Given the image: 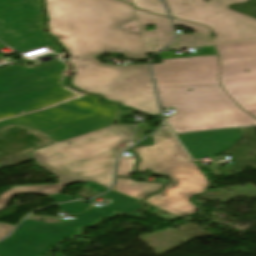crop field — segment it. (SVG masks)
<instances>
[{
  "instance_id": "crop-field-3",
  "label": "crop field",
  "mask_w": 256,
  "mask_h": 256,
  "mask_svg": "<svg viewBox=\"0 0 256 256\" xmlns=\"http://www.w3.org/2000/svg\"><path fill=\"white\" fill-rule=\"evenodd\" d=\"M51 34L73 59L119 50L128 58L145 56L140 32L113 28L90 4L77 0H45Z\"/></svg>"
},
{
  "instance_id": "crop-field-21",
  "label": "crop field",
  "mask_w": 256,
  "mask_h": 256,
  "mask_svg": "<svg viewBox=\"0 0 256 256\" xmlns=\"http://www.w3.org/2000/svg\"><path fill=\"white\" fill-rule=\"evenodd\" d=\"M48 198H50V199H52V200H54V201H56L58 203L64 202V201H68V200H73V198H71L70 196L63 195L62 193L50 196Z\"/></svg>"
},
{
  "instance_id": "crop-field-5",
  "label": "crop field",
  "mask_w": 256,
  "mask_h": 256,
  "mask_svg": "<svg viewBox=\"0 0 256 256\" xmlns=\"http://www.w3.org/2000/svg\"><path fill=\"white\" fill-rule=\"evenodd\" d=\"M162 107H174L166 118L175 133L256 124L221 89L218 82L157 86ZM188 89H193L188 92Z\"/></svg>"
},
{
  "instance_id": "crop-field-24",
  "label": "crop field",
  "mask_w": 256,
  "mask_h": 256,
  "mask_svg": "<svg viewBox=\"0 0 256 256\" xmlns=\"http://www.w3.org/2000/svg\"><path fill=\"white\" fill-rule=\"evenodd\" d=\"M73 204H76V205H79V206H82V207H85V208L90 207L89 205L84 204V203H80V202H73Z\"/></svg>"
},
{
  "instance_id": "crop-field-2",
  "label": "crop field",
  "mask_w": 256,
  "mask_h": 256,
  "mask_svg": "<svg viewBox=\"0 0 256 256\" xmlns=\"http://www.w3.org/2000/svg\"><path fill=\"white\" fill-rule=\"evenodd\" d=\"M136 125H114L78 138L32 151L38 164L60 178L58 184L14 187L0 196V210L17 194L58 193L63 186L92 181L107 188L113 182L117 155L130 145ZM68 142L72 144L67 145Z\"/></svg>"
},
{
  "instance_id": "crop-field-18",
  "label": "crop field",
  "mask_w": 256,
  "mask_h": 256,
  "mask_svg": "<svg viewBox=\"0 0 256 256\" xmlns=\"http://www.w3.org/2000/svg\"><path fill=\"white\" fill-rule=\"evenodd\" d=\"M135 163V156L120 157L118 162V175L129 178V173L133 172V165Z\"/></svg>"
},
{
  "instance_id": "crop-field-26",
  "label": "crop field",
  "mask_w": 256,
  "mask_h": 256,
  "mask_svg": "<svg viewBox=\"0 0 256 256\" xmlns=\"http://www.w3.org/2000/svg\"><path fill=\"white\" fill-rule=\"evenodd\" d=\"M123 1L129 2V3H132V2H131V0H123Z\"/></svg>"
},
{
  "instance_id": "crop-field-4",
  "label": "crop field",
  "mask_w": 256,
  "mask_h": 256,
  "mask_svg": "<svg viewBox=\"0 0 256 256\" xmlns=\"http://www.w3.org/2000/svg\"><path fill=\"white\" fill-rule=\"evenodd\" d=\"M151 136L154 139L153 146L132 150L140 157L137 170L150 169L152 173L168 175L172 181L163 192L144 201L180 216L196 212L197 206L189 199L202 193L209 186V181L165 124Z\"/></svg>"
},
{
  "instance_id": "crop-field-16",
  "label": "crop field",
  "mask_w": 256,
  "mask_h": 256,
  "mask_svg": "<svg viewBox=\"0 0 256 256\" xmlns=\"http://www.w3.org/2000/svg\"><path fill=\"white\" fill-rule=\"evenodd\" d=\"M163 185L164 184L134 182L133 180L117 178V184L113 191L142 200L144 195L160 190Z\"/></svg>"
},
{
  "instance_id": "crop-field-15",
  "label": "crop field",
  "mask_w": 256,
  "mask_h": 256,
  "mask_svg": "<svg viewBox=\"0 0 256 256\" xmlns=\"http://www.w3.org/2000/svg\"><path fill=\"white\" fill-rule=\"evenodd\" d=\"M173 21L176 25L194 29L195 34L177 35V39L175 43L165 50L193 47V46H199V45H205V44L211 43L209 28L202 25H198V24H194V23H190V22H186V21H182L174 18H173Z\"/></svg>"
},
{
  "instance_id": "crop-field-25",
  "label": "crop field",
  "mask_w": 256,
  "mask_h": 256,
  "mask_svg": "<svg viewBox=\"0 0 256 256\" xmlns=\"http://www.w3.org/2000/svg\"><path fill=\"white\" fill-rule=\"evenodd\" d=\"M3 47H5V45L0 43V49L3 48Z\"/></svg>"
},
{
  "instance_id": "crop-field-7",
  "label": "crop field",
  "mask_w": 256,
  "mask_h": 256,
  "mask_svg": "<svg viewBox=\"0 0 256 256\" xmlns=\"http://www.w3.org/2000/svg\"><path fill=\"white\" fill-rule=\"evenodd\" d=\"M107 195L113 199L111 204L103 208L93 206L73 221L46 224L25 220L12 236L0 242V256H43L57 241L76 234L78 227L92 224L115 208L132 212L141 207L134 203L136 199L122 194L111 191Z\"/></svg>"
},
{
  "instance_id": "crop-field-20",
  "label": "crop field",
  "mask_w": 256,
  "mask_h": 256,
  "mask_svg": "<svg viewBox=\"0 0 256 256\" xmlns=\"http://www.w3.org/2000/svg\"><path fill=\"white\" fill-rule=\"evenodd\" d=\"M15 226L0 223V238L6 236Z\"/></svg>"
},
{
  "instance_id": "crop-field-22",
  "label": "crop field",
  "mask_w": 256,
  "mask_h": 256,
  "mask_svg": "<svg viewBox=\"0 0 256 256\" xmlns=\"http://www.w3.org/2000/svg\"><path fill=\"white\" fill-rule=\"evenodd\" d=\"M57 106H61V107L67 108V109H71V110H74V111L87 113V114H90L92 112V111H87V110H80V109H77L76 107L65 106V105H61V104H57Z\"/></svg>"
},
{
  "instance_id": "crop-field-8",
  "label": "crop field",
  "mask_w": 256,
  "mask_h": 256,
  "mask_svg": "<svg viewBox=\"0 0 256 256\" xmlns=\"http://www.w3.org/2000/svg\"><path fill=\"white\" fill-rule=\"evenodd\" d=\"M174 18L213 29L214 43L256 37V20L233 11L228 5L247 0H165ZM185 3L188 6L183 7Z\"/></svg>"
},
{
  "instance_id": "crop-field-14",
  "label": "crop field",
  "mask_w": 256,
  "mask_h": 256,
  "mask_svg": "<svg viewBox=\"0 0 256 256\" xmlns=\"http://www.w3.org/2000/svg\"><path fill=\"white\" fill-rule=\"evenodd\" d=\"M95 6L112 26L128 23L135 19L132 5L118 0H81Z\"/></svg>"
},
{
  "instance_id": "crop-field-17",
  "label": "crop field",
  "mask_w": 256,
  "mask_h": 256,
  "mask_svg": "<svg viewBox=\"0 0 256 256\" xmlns=\"http://www.w3.org/2000/svg\"><path fill=\"white\" fill-rule=\"evenodd\" d=\"M154 1H157V3H154ZM132 2L135 7L148 10L157 15L167 16V12L165 13L166 10L164 11L165 8L163 9L160 0H132Z\"/></svg>"
},
{
  "instance_id": "crop-field-19",
  "label": "crop field",
  "mask_w": 256,
  "mask_h": 256,
  "mask_svg": "<svg viewBox=\"0 0 256 256\" xmlns=\"http://www.w3.org/2000/svg\"><path fill=\"white\" fill-rule=\"evenodd\" d=\"M61 210L70 213V214H77L83 210H86L85 208L70 204V203H65L63 205L58 206Z\"/></svg>"
},
{
  "instance_id": "crop-field-13",
  "label": "crop field",
  "mask_w": 256,
  "mask_h": 256,
  "mask_svg": "<svg viewBox=\"0 0 256 256\" xmlns=\"http://www.w3.org/2000/svg\"><path fill=\"white\" fill-rule=\"evenodd\" d=\"M146 53H155L172 40L168 18L135 9ZM155 24V31H146L144 25Z\"/></svg>"
},
{
  "instance_id": "crop-field-12",
  "label": "crop field",
  "mask_w": 256,
  "mask_h": 256,
  "mask_svg": "<svg viewBox=\"0 0 256 256\" xmlns=\"http://www.w3.org/2000/svg\"><path fill=\"white\" fill-rule=\"evenodd\" d=\"M193 158L220 155L242 136L238 129L177 135ZM189 153V154H190Z\"/></svg>"
},
{
  "instance_id": "crop-field-1",
  "label": "crop field",
  "mask_w": 256,
  "mask_h": 256,
  "mask_svg": "<svg viewBox=\"0 0 256 256\" xmlns=\"http://www.w3.org/2000/svg\"><path fill=\"white\" fill-rule=\"evenodd\" d=\"M61 61L33 69L15 65L0 70V128L21 124L39 129L55 141L78 137L115 122V104H98V96L80 95L59 84ZM57 103L92 110L90 115L70 111Z\"/></svg>"
},
{
  "instance_id": "crop-field-23",
  "label": "crop field",
  "mask_w": 256,
  "mask_h": 256,
  "mask_svg": "<svg viewBox=\"0 0 256 256\" xmlns=\"http://www.w3.org/2000/svg\"><path fill=\"white\" fill-rule=\"evenodd\" d=\"M86 186H88V187H90V188H93V189H96V190L101 191V192H104V191L107 190V188L102 187V186H100V185H97V184H95V183H91V184L86 185Z\"/></svg>"
},
{
  "instance_id": "crop-field-6",
  "label": "crop field",
  "mask_w": 256,
  "mask_h": 256,
  "mask_svg": "<svg viewBox=\"0 0 256 256\" xmlns=\"http://www.w3.org/2000/svg\"><path fill=\"white\" fill-rule=\"evenodd\" d=\"M72 84L85 92L101 94L106 100L157 115L159 113L147 64L119 66L101 64L96 58L73 61Z\"/></svg>"
},
{
  "instance_id": "crop-field-10",
  "label": "crop field",
  "mask_w": 256,
  "mask_h": 256,
  "mask_svg": "<svg viewBox=\"0 0 256 256\" xmlns=\"http://www.w3.org/2000/svg\"><path fill=\"white\" fill-rule=\"evenodd\" d=\"M40 0H0V40L19 52L48 45L62 49L42 30Z\"/></svg>"
},
{
  "instance_id": "crop-field-9",
  "label": "crop field",
  "mask_w": 256,
  "mask_h": 256,
  "mask_svg": "<svg viewBox=\"0 0 256 256\" xmlns=\"http://www.w3.org/2000/svg\"><path fill=\"white\" fill-rule=\"evenodd\" d=\"M215 46L224 89L242 109L256 118V39Z\"/></svg>"
},
{
  "instance_id": "crop-field-11",
  "label": "crop field",
  "mask_w": 256,
  "mask_h": 256,
  "mask_svg": "<svg viewBox=\"0 0 256 256\" xmlns=\"http://www.w3.org/2000/svg\"><path fill=\"white\" fill-rule=\"evenodd\" d=\"M161 61L152 65L156 85L218 81L216 56Z\"/></svg>"
}]
</instances>
